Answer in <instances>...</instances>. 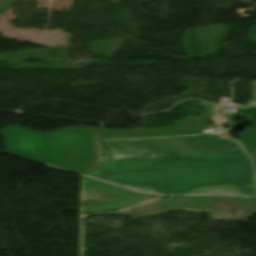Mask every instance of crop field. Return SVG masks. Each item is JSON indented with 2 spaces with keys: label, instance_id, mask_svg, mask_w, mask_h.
Segmentation results:
<instances>
[{
  "label": "crop field",
  "instance_id": "obj_4",
  "mask_svg": "<svg viewBox=\"0 0 256 256\" xmlns=\"http://www.w3.org/2000/svg\"><path fill=\"white\" fill-rule=\"evenodd\" d=\"M214 104L201 101L197 107L206 113L187 120H177L176 125L171 127H155L136 130H102L103 139L132 138V137H162L202 133L208 127L209 122H216ZM218 125V124H217Z\"/></svg>",
  "mask_w": 256,
  "mask_h": 256
},
{
  "label": "crop field",
  "instance_id": "obj_1",
  "mask_svg": "<svg viewBox=\"0 0 256 256\" xmlns=\"http://www.w3.org/2000/svg\"><path fill=\"white\" fill-rule=\"evenodd\" d=\"M113 156L100 157L104 166L91 176L124 170L174 168L232 161H250L233 140L216 139L209 133L190 137L104 140Z\"/></svg>",
  "mask_w": 256,
  "mask_h": 256
},
{
  "label": "crop field",
  "instance_id": "obj_3",
  "mask_svg": "<svg viewBox=\"0 0 256 256\" xmlns=\"http://www.w3.org/2000/svg\"><path fill=\"white\" fill-rule=\"evenodd\" d=\"M0 134L8 152L85 174L99 164L96 142L102 139L101 130L70 127L40 133L11 126Z\"/></svg>",
  "mask_w": 256,
  "mask_h": 256
},
{
  "label": "crop field",
  "instance_id": "obj_8",
  "mask_svg": "<svg viewBox=\"0 0 256 256\" xmlns=\"http://www.w3.org/2000/svg\"><path fill=\"white\" fill-rule=\"evenodd\" d=\"M255 164V168H256V163H254Z\"/></svg>",
  "mask_w": 256,
  "mask_h": 256
},
{
  "label": "crop field",
  "instance_id": "obj_6",
  "mask_svg": "<svg viewBox=\"0 0 256 256\" xmlns=\"http://www.w3.org/2000/svg\"><path fill=\"white\" fill-rule=\"evenodd\" d=\"M253 90V98L249 101H247L246 106H256V81H253L250 83Z\"/></svg>",
  "mask_w": 256,
  "mask_h": 256
},
{
  "label": "crop field",
  "instance_id": "obj_7",
  "mask_svg": "<svg viewBox=\"0 0 256 256\" xmlns=\"http://www.w3.org/2000/svg\"><path fill=\"white\" fill-rule=\"evenodd\" d=\"M219 120H220V122L225 123V117H220V116H219Z\"/></svg>",
  "mask_w": 256,
  "mask_h": 256
},
{
  "label": "crop field",
  "instance_id": "obj_5",
  "mask_svg": "<svg viewBox=\"0 0 256 256\" xmlns=\"http://www.w3.org/2000/svg\"><path fill=\"white\" fill-rule=\"evenodd\" d=\"M242 140L239 141L256 161V129L247 127L244 132L237 133Z\"/></svg>",
  "mask_w": 256,
  "mask_h": 256
},
{
  "label": "crop field",
  "instance_id": "obj_2",
  "mask_svg": "<svg viewBox=\"0 0 256 256\" xmlns=\"http://www.w3.org/2000/svg\"><path fill=\"white\" fill-rule=\"evenodd\" d=\"M103 179L149 192H224L256 196V183L248 162L113 173L107 174Z\"/></svg>",
  "mask_w": 256,
  "mask_h": 256
}]
</instances>
